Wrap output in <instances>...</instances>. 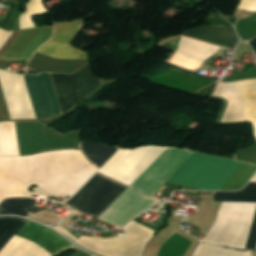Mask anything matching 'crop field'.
I'll use <instances>...</instances> for the list:
<instances>
[{
  "label": "crop field",
  "instance_id": "obj_1",
  "mask_svg": "<svg viewBox=\"0 0 256 256\" xmlns=\"http://www.w3.org/2000/svg\"><path fill=\"white\" fill-rule=\"evenodd\" d=\"M97 171L80 151L61 150L0 158V201L7 197L73 196ZM38 185L36 192L27 187Z\"/></svg>",
  "mask_w": 256,
  "mask_h": 256
},
{
  "label": "crop field",
  "instance_id": "obj_2",
  "mask_svg": "<svg viewBox=\"0 0 256 256\" xmlns=\"http://www.w3.org/2000/svg\"><path fill=\"white\" fill-rule=\"evenodd\" d=\"M165 149V147L120 149L99 172L131 185ZM126 188L96 174L73 196L68 205L98 218Z\"/></svg>",
  "mask_w": 256,
  "mask_h": 256
},
{
  "label": "crop field",
  "instance_id": "obj_3",
  "mask_svg": "<svg viewBox=\"0 0 256 256\" xmlns=\"http://www.w3.org/2000/svg\"><path fill=\"white\" fill-rule=\"evenodd\" d=\"M191 154L167 148L99 219L121 227L153 204L160 202L151 197Z\"/></svg>",
  "mask_w": 256,
  "mask_h": 256
},
{
  "label": "crop field",
  "instance_id": "obj_4",
  "mask_svg": "<svg viewBox=\"0 0 256 256\" xmlns=\"http://www.w3.org/2000/svg\"><path fill=\"white\" fill-rule=\"evenodd\" d=\"M239 164L194 152L168 182L197 189L220 190Z\"/></svg>",
  "mask_w": 256,
  "mask_h": 256
},
{
  "label": "crop field",
  "instance_id": "obj_5",
  "mask_svg": "<svg viewBox=\"0 0 256 256\" xmlns=\"http://www.w3.org/2000/svg\"><path fill=\"white\" fill-rule=\"evenodd\" d=\"M122 228L126 233L122 236L107 239L81 236L78 239L61 226L54 227L78 245L102 256H142L144 246L154 236V231L134 221Z\"/></svg>",
  "mask_w": 256,
  "mask_h": 256
},
{
  "label": "crop field",
  "instance_id": "obj_6",
  "mask_svg": "<svg viewBox=\"0 0 256 256\" xmlns=\"http://www.w3.org/2000/svg\"><path fill=\"white\" fill-rule=\"evenodd\" d=\"M15 236L52 255L64 248L74 246L50 229L29 221L24 224ZM38 248L13 237L0 251V256H52Z\"/></svg>",
  "mask_w": 256,
  "mask_h": 256
},
{
  "label": "crop field",
  "instance_id": "obj_7",
  "mask_svg": "<svg viewBox=\"0 0 256 256\" xmlns=\"http://www.w3.org/2000/svg\"><path fill=\"white\" fill-rule=\"evenodd\" d=\"M214 94L228 101L221 122L252 120L256 140V80L218 83Z\"/></svg>",
  "mask_w": 256,
  "mask_h": 256
},
{
  "label": "crop field",
  "instance_id": "obj_8",
  "mask_svg": "<svg viewBox=\"0 0 256 256\" xmlns=\"http://www.w3.org/2000/svg\"><path fill=\"white\" fill-rule=\"evenodd\" d=\"M76 73L85 97L88 98L100 86L99 81L90 76L87 65ZM76 73L69 75L51 74L63 113L72 109L85 98Z\"/></svg>",
  "mask_w": 256,
  "mask_h": 256
},
{
  "label": "crop field",
  "instance_id": "obj_9",
  "mask_svg": "<svg viewBox=\"0 0 256 256\" xmlns=\"http://www.w3.org/2000/svg\"><path fill=\"white\" fill-rule=\"evenodd\" d=\"M24 77L36 119H47L62 113L49 74Z\"/></svg>",
  "mask_w": 256,
  "mask_h": 256
},
{
  "label": "crop field",
  "instance_id": "obj_10",
  "mask_svg": "<svg viewBox=\"0 0 256 256\" xmlns=\"http://www.w3.org/2000/svg\"><path fill=\"white\" fill-rule=\"evenodd\" d=\"M52 34L53 25L22 30L1 58L14 60L29 59L43 43L51 38Z\"/></svg>",
  "mask_w": 256,
  "mask_h": 256
},
{
  "label": "crop field",
  "instance_id": "obj_11",
  "mask_svg": "<svg viewBox=\"0 0 256 256\" xmlns=\"http://www.w3.org/2000/svg\"><path fill=\"white\" fill-rule=\"evenodd\" d=\"M82 25V21L55 24V35L53 39L44 44L38 51L56 57L86 59V53L70 46V43Z\"/></svg>",
  "mask_w": 256,
  "mask_h": 256
},
{
  "label": "crop field",
  "instance_id": "obj_12",
  "mask_svg": "<svg viewBox=\"0 0 256 256\" xmlns=\"http://www.w3.org/2000/svg\"><path fill=\"white\" fill-rule=\"evenodd\" d=\"M217 48L218 46L182 36L178 50L170 63L190 70L198 69L204 60L214 54Z\"/></svg>",
  "mask_w": 256,
  "mask_h": 256
},
{
  "label": "crop field",
  "instance_id": "obj_13",
  "mask_svg": "<svg viewBox=\"0 0 256 256\" xmlns=\"http://www.w3.org/2000/svg\"><path fill=\"white\" fill-rule=\"evenodd\" d=\"M181 34L232 49L238 43L234 29L215 25L202 26Z\"/></svg>",
  "mask_w": 256,
  "mask_h": 256
},
{
  "label": "crop field",
  "instance_id": "obj_14",
  "mask_svg": "<svg viewBox=\"0 0 256 256\" xmlns=\"http://www.w3.org/2000/svg\"><path fill=\"white\" fill-rule=\"evenodd\" d=\"M35 200L29 198L5 199L0 205V215L12 214L26 217L40 210L34 207Z\"/></svg>",
  "mask_w": 256,
  "mask_h": 256
},
{
  "label": "crop field",
  "instance_id": "obj_15",
  "mask_svg": "<svg viewBox=\"0 0 256 256\" xmlns=\"http://www.w3.org/2000/svg\"><path fill=\"white\" fill-rule=\"evenodd\" d=\"M0 156H19L14 122L0 123Z\"/></svg>",
  "mask_w": 256,
  "mask_h": 256
},
{
  "label": "crop field",
  "instance_id": "obj_16",
  "mask_svg": "<svg viewBox=\"0 0 256 256\" xmlns=\"http://www.w3.org/2000/svg\"><path fill=\"white\" fill-rule=\"evenodd\" d=\"M81 147L84 155L91 159L98 168H100L117 150L116 148L91 142H82Z\"/></svg>",
  "mask_w": 256,
  "mask_h": 256
},
{
  "label": "crop field",
  "instance_id": "obj_17",
  "mask_svg": "<svg viewBox=\"0 0 256 256\" xmlns=\"http://www.w3.org/2000/svg\"><path fill=\"white\" fill-rule=\"evenodd\" d=\"M214 201L256 202V183H248L239 192H215Z\"/></svg>",
  "mask_w": 256,
  "mask_h": 256
},
{
  "label": "crop field",
  "instance_id": "obj_18",
  "mask_svg": "<svg viewBox=\"0 0 256 256\" xmlns=\"http://www.w3.org/2000/svg\"><path fill=\"white\" fill-rule=\"evenodd\" d=\"M256 170V165L241 163L221 190H239ZM256 172V171H255Z\"/></svg>",
  "mask_w": 256,
  "mask_h": 256
},
{
  "label": "crop field",
  "instance_id": "obj_19",
  "mask_svg": "<svg viewBox=\"0 0 256 256\" xmlns=\"http://www.w3.org/2000/svg\"><path fill=\"white\" fill-rule=\"evenodd\" d=\"M25 222L20 218L0 217V250Z\"/></svg>",
  "mask_w": 256,
  "mask_h": 256
},
{
  "label": "crop field",
  "instance_id": "obj_20",
  "mask_svg": "<svg viewBox=\"0 0 256 256\" xmlns=\"http://www.w3.org/2000/svg\"><path fill=\"white\" fill-rule=\"evenodd\" d=\"M197 256H252L250 252H240L204 243Z\"/></svg>",
  "mask_w": 256,
  "mask_h": 256
},
{
  "label": "crop field",
  "instance_id": "obj_21",
  "mask_svg": "<svg viewBox=\"0 0 256 256\" xmlns=\"http://www.w3.org/2000/svg\"><path fill=\"white\" fill-rule=\"evenodd\" d=\"M256 242V213L254 215L243 249H253Z\"/></svg>",
  "mask_w": 256,
  "mask_h": 256
},
{
  "label": "crop field",
  "instance_id": "obj_22",
  "mask_svg": "<svg viewBox=\"0 0 256 256\" xmlns=\"http://www.w3.org/2000/svg\"><path fill=\"white\" fill-rule=\"evenodd\" d=\"M237 8L256 12V0H241Z\"/></svg>",
  "mask_w": 256,
  "mask_h": 256
},
{
  "label": "crop field",
  "instance_id": "obj_23",
  "mask_svg": "<svg viewBox=\"0 0 256 256\" xmlns=\"http://www.w3.org/2000/svg\"><path fill=\"white\" fill-rule=\"evenodd\" d=\"M249 44L253 48L254 52H256V38L249 41Z\"/></svg>",
  "mask_w": 256,
  "mask_h": 256
},
{
  "label": "crop field",
  "instance_id": "obj_24",
  "mask_svg": "<svg viewBox=\"0 0 256 256\" xmlns=\"http://www.w3.org/2000/svg\"><path fill=\"white\" fill-rule=\"evenodd\" d=\"M251 181H255V182H256V174H255L254 177L251 179Z\"/></svg>",
  "mask_w": 256,
  "mask_h": 256
}]
</instances>
